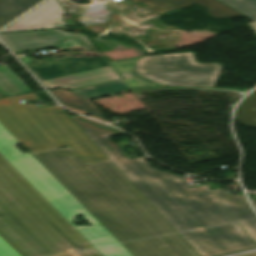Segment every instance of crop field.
<instances>
[{
	"label": "crop field",
	"instance_id": "crop-field-1",
	"mask_svg": "<svg viewBox=\"0 0 256 256\" xmlns=\"http://www.w3.org/2000/svg\"><path fill=\"white\" fill-rule=\"evenodd\" d=\"M17 144L0 124V233L9 242L25 256H132ZM79 214L93 226H76Z\"/></svg>",
	"mask_w": 256,
	"mask_h": 256
},
{
	"label": "crop field",
	"instance_id": "crop-field-2",
	"mask_svg": "<svg viewBox=\"0 0 256 256\" xmlns=\"http://www.w3.org/2000/svg\"><path fill=\"white\" fill-rule=\"evenodd\" d=\"M134 256H197L110 161L69 147L32 153Z\"/></svg>",
	"mask_w": 256,
	"mask_h": 256
},
{
	"label": "crop field",
	"instance_id": "crop-field-3",
	"mask_svg": "<svg viewBox=\"0 0 256 256\" xmlns=\"http://www.w3.org/2000/svg\"><path fill=\"white\" fill-rule=\"evenodd\" d=\"M71 119L198 256L256 247L207 185L189 188L181 176L154 170L143 157L129 160L108 138L122 132L80 116Z\"/></svg>",
	"mask_w": 256,
	"mask_h": 256
},
{
	"label": "crop field",
	"instance_id": "crop-field-4",
	"mask_svg": "<svg viewBox=\"0 0 256 256\" xmlns=\"http://www.w3.org/2000/svg\"><path fill=\"white\" fill-rule=\"evenodd\" d=\"M18 99L38 98L30 93L0 99V122L31 152L68 145L86 164L108 159L63 109L37 108Z\"/></svg>",
	"mask_w": 256,
	"mask_h": 256
},
{
	"label": "crop field",
	"instance_id": "crop-field-5",
	"mask_svg": "<svg viewBox=\"0 0 256 256\" xmlns=\"http://www.w3.org/2000/svg\"><path fill=\"white\" fill-rule=\"evenodd\" d=\"M19 58L47 89L72 90L120 79L103 57Z\"/></svg>",
	"mask_w": 256,
	"mask_h": 256
},
{
	"label": "crop field",
	"instance_id": "crop-field-6",
	"mask_svg": "<svg viewBox=\"0 0 256 256\" xmlns=\"http://www.w3.org/2000/svg\"><path fill=\"white\" fill-rule=\"evenodd\" d=\"M222 67L219 63H196L194 53L142 56L135 73L167 85L213 87Z\"/></svg>",
	"mask_w": 256,
	"mask_h": 256
},
{
	"label": "crop field",
	"instance_id": "crop-field-7",
	"mask_svg": "<svg viewBox=\"0 0 256 256\" xmlns=\"http://www.w3.org/2000/svg\"><path fill=\"white\" fill-rule=\"evenodd\" d=\"M0 39L15 54H22L50 46L59 51L89 50L96 48L83 34H69L62 30L2 34Z\"/></svg>",
	"mask_w": 256,
	"mask_h": 256
},
{
	"label": "crop field",
	"instance_id": "crop-field-8",
	"mask_svg": "<svg viewBox=\"0 0 256 256\" xmlns=\"http://www.w3.org/2000/svg\"><path fill=\"white\" fill-rule=\"evenodd\" d=\"M66 11L57 0H45L31 11L5 27L1 32L64 27V22L61 21L62 15Z\"/></svg>",
	"mask_w": 256,
	"mask_h": 256
},
{
	"label": "crop field",
	"instance_id": "crop-field-9",
	"mask_svg": "<svg viewBox=\"0 0 256 256\" xmlns=\"http://www.w3.org/2000/svg\"><path fill=\"white\" fill-rule=\"evenodd\" d=\"M143 3L159 14L198 3L214 18L245 17L217 0H145Z\"/></svg>",
	"mask_w": 256,
	"mask_h": 256
},
{
	"label": "crop field",
	"instance_id": "crop-field-10",
	"mask_svg": "<svg viewBox=\"0 0 256 256\" xmlns=\"http://www.w3.org/2000/svg\"><path fill=\"white\" fill-rule=\"evenodd\" d=\"M213 193L228 209L256 245V216L249 208L244 196L229 197L223 188L213 190Z\"/></svg>",
	"mask_w": 256,
	"mask_h": 256
},
{
	"label": "crop field",
	"instance_id": "crop-field-11",
	"mask_svg": "<svg viewBox=\"0 0 256 256\" xmlns=\"http://www.w3.org/2000/svg\"><path fill=\"white\" fill-rule=\"evenodd\" d=\"M140 57L110 62V66L119 75L124 84L130 91L141 90L147 88L166 86L147 80L134 73V62Z\"/></svg>",
	"mask_w": 256,
	"mask_h": 256
},
{
	"label": "crop field",
	"instance_id": "crop-field-12",
	"mask_svg": "<svg viewBox=\"0 0 256 256\" xmlns=\"http://www.w3.org/2000/svg\"><path fill=\"white\" fill-rule=\"evenodd\" d=\"M50 93L66 108L92 117L104 123H107L105 118L98 112L92 103L78 95H75L66 90H50Z\"/></svg>",
	"mask_w": 256,
	"mask_h": 256
},
{
	"label": "crop field",
	"instance_id": "crop-field-13",
	"mask_svg": "<svg viewBox=\"0 0 256 256\" xmlns=\"http://www.w3.org/2000/svg\"><path fill=\"white\" fill-rule=\"evenodd\" d=\"M41 0H0V28Z\"/></svg>",
	"mask_w": 256,
	"mask_h": 256
},
{
	"label": "crop field",
	"instance_id": "crop-field-14",
	"mask_svg": "<svg viewBox=\"0 0 256 256\" xmlns=\"http://www.w3.org/2000/svg\"><path fill=\"white\" fill-rule=\"evenodd\" d=\"M29 92V88L7 66L0 67V97Z\"/></svg>",
	"mask_w": 256,
	"mask_h": 256
},
{
	"label": "crop field",
	"instance_id": "crop-field-15",
	"mask_svg": "<svg viewBox=\"0 0 256 256\" xmlns=\"http://www.w3.org/2000/svg\"><path fill=\"white\" fill-rule=\"evenodd\" d=\"M72 91L88 99H92V98H97V97H102L107 95L128 92L129 90L122 83L121 80H118L114 82L104 83V84L76 89Z\"/></svg>",
	"mask_w": 256,
	"mask_h": 256
},
{
	"label": "crop field",
	"instance_id": "crop-field-16",
	"mask_svg": "<svg viewBox=\"0 0 256 256\" xmlns=\"http://www.w3.org/2000/svg\"><path fill=\"white\" fill-rule=\"evenodd\" d=\"M234 120L245 127H256V89L236 107Z\"/></svg>",
	"mask_w": 256,
	"mask_h": 256
},
{
	"label": "crop field",
	"instance_id": "crop-field-17",
	"mask_svg": "<svg viewBox=\"0 0 256 256\" xmlns=\"http://www.w3.org/2000/svg\"><path fill=\"white\" fill-rule=\"evenodd\" d=\"M244 13L249 19L256 20V0H220Z\"/></svg>",
	"mask_w": 256,
	"mask_h": 256
},
{
	"label": "crop field",
	"instance_id": "crop-field-18",
	"mask_svg": "<svg viewBox=\"0 0 256 256\" xmlns=\"http://www.w3.org/2000/svg\"><path fill=\"white\" fill-rule=\"evenodd\" d=\"M0 256H20V255L0 237Z\"/></svg>",
	"mask_w": 256,
	"mask_h": 256
},
{
	"label": "crop field",
	"instance_id": "crop-field-19",
	"mask_svg": "<svg viewBox=\"0 0 256 256\" xmlns=\"http://www.w3.org/2000/svg\"><path fill=\"white\" fill-rule=\"evenodd\" d=\"M225 179H235V169H232V173H226Z\"/></svg>",
	"mask_w": 256,
	"mask_h": 256
},
{
	"label": "crop field",
	"instance_id": "crop-field-20",
	"mask_svg": "<svg viewBox=\"0 0 256 256\" xmlns=\"http://www.w3.org/2000/svg\"><path fill=\"white\" fill-rule=\"evenodd\" d=\"M249 26L252 28V30L256 34V21L249 23Z\"/></svg>",
	"mask_w": 256,
	"mask_h": 256
},
{
	"label": "crop field",
	"instance_id": "crop-field-21",
	"mask_svg": "<svg viewBox=\"0 0 256 256\" xmlns=\"http://www.w3.org/2000/svg\"><path fill=\"white\" fill-rule=\"evenodd\" d=\"M252 203H253V205H254V207L256 209V200H252Z\"/></svg>",
	"mask_w": 256,
	"mask_h": 256
},
{
	"label": "crop field",
	"instance_id": "crop-field-22",
	"mask_svg": "<svg viewBox=\"0 0 256 256\" xmlns=\"http://www.w3.org/2000/svg\"><path fill=\"white\" fill-rule=\"evenodd\" d=\"M244 256H256V253H254V254H249V255H244Z\"/></svg>",
	"mask_w": 256,
	"mask_h": 256
},
{
	"label": "crop field",
	"instance_id": "crop-field-23",
	"mask_svg": "<svg viewBox=\"0 0 256 256\" xmlns=\"http://www.w3.org/2000/svg\"><path fill=\"white\" fill-rule=\"evenodd\" d=\"M131 1L133 2V4H135V3L139 2V1H134V0H131Z\"/></svg>",
	"mask_w": 256,
	"mask_h": 256
},
{
	"label": "crop field",
	"instance_id": "crop-field-24",
	"mask_svg": "<svg viewBox=\"0 0 256 256\" xmlns=\"http://www.w3.org/2000/svg\"><path fill=\"white\" fill-rule=\"evenodd\" d=\"M139 1H143V0H139Z\"/></svg>",
	"mask_w": 256,
	"mask_h": 256
},
{
	"label": "crop field",
	"instance_id": "crop-field-25",
	"mask_svg": "<svg viewBox=\"0 0 256 256\" xmlns=\"http://www.w3.org/2000/svg\"><path fill=\"white\" fill-rule=\"evenodd\" d=\"M1 45V44H0Z\"/></svg>",
	"mask_w": 256,
	"mask_h": 256
}]
</instances>
